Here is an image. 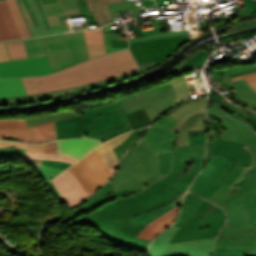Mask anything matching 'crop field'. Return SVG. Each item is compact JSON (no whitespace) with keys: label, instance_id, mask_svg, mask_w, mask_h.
Listing matches in <instances>:
<instances>
[{"label":"crop field","instance_id":"8a807250","mask_svg":"<svg viewBox=\"0 0 256 256\" xmlns=\"http://www.w3.org/2000/svg\"><path fill=\"white\" fill-rule=\"evenodd\" d=\"M160 173L165 176L143 187L144 190L124 199H116L112 203L87 215L80 216L65 224L72 227L76 223H84L94 227L97 234L128 238L150 243V240L135 238L146 226L132 224L128 218L153 210L163 204L169 205L183 191L169 184L183 161L181 146L173 148V152L158 154Z\"/></svg>","mask_w":256,"mask_h":256},{"label":"crop field","instance_id":"ac0d7876","mask_svg":"<svg viewBox=\"0 0 256 256\" xmlns=\"http://www.w3.org/2000/svg\"><path fill=\"white\" fill-rule=\"evenodd\" d=\"M131 65V66H129ZM139 68L127 49L69 67L55 74L22 78L27 94L46 93L120 76Z\"/></svg>","mask_w":256,"mask_h":256},{"label":"crop field","instance_id":"34b2d1b8","mask_svg":"<svg viewBox=\"0 0 256 256\" xmlns=\"http://www.w3.org/2000/svg\"><path fill=\"white\" fill-rule=\"evenodd\" d=\"M226 218L224 210L191 193L185 196L180 217L181 227L170 242L216 237Z\"/></svg>","mask_w":256,"mask_h":256},{"label":"crop field","instance_id":"412701ff","mask_svg":"<svg viewBox=\"0 0 256 256\" xmlns=\"http://www.w3.org/2000/svg\"><path fill=\"white\" fill-rule=\"evenodd\" d=\"M189 41L187 31L183 30L130 39V48L141 67L139 73H142L159 65L178 50L182 44Z\"/></svg>","mask_w":256,"mask_h":256},{"label":"crop field","instance_id":"f4fd0767","mask_svg":"<svg viewBox=\"0 0 256 256\" xmlns=\"http://www.w3.org/2000/svg\"><path fill=\"white\" fill-rule=\"evenodd\" d=\"M177 103L179 102H174V91L170 82L138 92L129 98L115 101L129 127L131 126L124 114L144 108L153 123L157 117Z\"/></svg>","mask_w":256,"mask_h":256},{"label":"crop field","instance_id":"dd49c442","mask_svg":"<svg viewBox=\"0 0 256 256\" xmlns=\"http://www.w3.org/2000/svg\"><path fill=\"white\" fill-rule=\"evenodd\" d=\"M43 38L53 72L88 60L81 31Z\"/></svg>","mask_w":256,"mask_h":256},{"label":"crop field","instance_id":"e52e79f7","mask_svg":"<svg viewBox=\"0 0 256 256\" xmlns=\"http://www.w3.org/2000/svg\"><path fill=\"white\" fill-rule=\"evenodd\" d=\"M244 196L245 191L224 184L208 200L226 209V226L242 232L256 233V228L246 223L249 214L244 208Z\"/></svg>","mask_w":256,"mask_h":256},{"label":"crop field","instance_id":"d8731c3e","mask_svg":"<svg viewBox=\"0 0 256 256\" xmlns=\"http://www.w3.org/2000/svg\"><path fill=\"white\" fill-rule=\"evenodd\" d=\"M206 101L207 99L185 102L167 114L178 120L171 129L179 132L176 136V147L189 145L188 132L206 130Z\"/></svg>","mask_w":256,"mask_h":256},{"label":"crop field","instance_id":"5a996713","mask_svg":"<svg viewBox=\"0 0 256 256\" xmlns=\"http://www.w3.org/2000/svg\"><path fill=\"white\" fill-rule=\"evenodd\" d=\"M0 140L44 143L55 140L54 121L27 128L25 119L0 120Z\"/></svg>","mask_w":256,"mask_h":256},{"label":"crop field","instance_id":"3316defc","mask_svg":"<svg viewBox=\"0 0 256 256\" xmlns=\"http://www.w3.org/2000/svg\"><path fill=\"white\" fill-rule=\"evenodd\" d=\"M178 229V227L172 226L157 236L149 248L151 256H160L164 254L185 251H188L189 256H211L212 244L215 238L198 239L168 244L170 238Z\"/></svg>","mask_w":256,"mask_h":256},{"label":"crop field","instance_id":"28ad6ade","mask_svg":"<svg viewBox=\"0 0 256 256\" xmlns=\"http://www.w3.org/2000/svg\"><path fill=\"white\" fill-rule=\"evenodd\" d=\"M163 176L159 173L143 180V166L139 159L128 150L110 182L116 192L129 188L134 194L142 190V186L148 185Z\"/></svg>","mask_w":256,"mask_h":256},{"label":"crop field","instance_id":"d1516ede","mask_svg":"<svg viewBox=\"0 0 256 256\" xmlns=\"http://www.w3.org/2000/svg\"><path fill=\"white\" fill-rule=\"evenodd\" d=\"M68 169L78 178L88 197L112 177L95 151Z\"/></svg>","mask_w":256,"mask_h":256},{"label":"crop field","instance_id":"22f410ed","mask_svg":"<svg viewBox=\"0 0 256 256\" xmlns=\"http://www.w3.org/2000/svg\"><path fill=\"white\" fill-rule=\"evenodd\" d=\"M207 110L219 119L221 126L226 132H223L219 139L235 140L240 143L247 144L245 147L253 156V161L249 169L256 167V134L246 125L226 117L222 114L220 109L215 105L210 106ZM248 169V170H249Z\"/></svg>","mask_w":256,"mask_h":256},{"label":"crop field","instance_id":"cbeb9de0","mask_svg":"<svg viewBox=\"0 0 256 256\" xmlns=\"http://www.w3.org/2000/svg\"><path fill=\"white\" fill-rule=\"evenodd\" d=\"M184 161L170 185L186 191L196 174L202 169L205 145L182 146Z\"/></svg>","mask_w":256,"mask_h":256},{"label":"crop field","instance_id":"5142ce71","mask_svg":"<svg viewBox=\"0 0 256 256\" xmlns=\"http://www.w3.org/2000/svg\"><path fill=\"white\" fill-rule=\"evenodd\" d=\"M50 28L63 27L60 18L91 14L86 0H39Z\"/></svg>","mask_w":256,"mask_h":256},{"label":"crop field","instance_id":"d9b57169","mask_svg":"<svg viewBox=\"0 0 256 256\" xmlns=\"http://www.w3.org/2000/svg\"><path fill=\"white\" fill-rule=\"evenodd\" d=\"M79 115H87L98 112L101 119L82 128L85 137H91L103 132L115 130L126 123L114 103L107 104L103 107H92L87 109L78 110Z\"/></svg>","mask_w":256,"mask_h":256},{"label":"crop field","instance_id":"733c2abd","mask_svg":"<svg viewBox=\"0 0 256 256\" xmlns=\"http://www.w3.org/2000/svg\"><path fill=\"white\" fill-rule=\"evenodd\" d=\"M47 56L43 38L0 43V62Z\"/></svg>","mask_w":256,"mask_h":256},{"label":"crop field","instance_id":"4a817a6b","mask_svg":"<svg viewBox=\"0 0 256 256\" xmlns=\"http://www.w3.org/2000/svg\"><path fill=\"white\" fill-rule=\"evenodd\" d=\"M177 120L166 116L152 125L149 132L143 138L155 153L172 151L175 147L177 133L169 132Z\"/></svg>","mask_w":256,"mask_h":256},{"label":"crop field","instance_id":"bc2a9ffb","mask_svg":"<svg viewBox=\"0 0 256 256\" xmlns=\"http://www.w3.org/2000/svg\"><path fill=\"white\" fill-rule=\"evenodd\" d=\"M47 57L0 63V78L51 73Z\"/></svg>","mask_w":256,"mask_h":256},{"label":"crop field","instance_id":"214f88e0","mask_svg":"<svg viewBox=\"0 0 256 256\" xmlns=\"http://www.w3.org/2000/svg\"><path fill=\"white\" fill-rule=\"evenodd\" d=\"M131 194L132 193L129 191V189L115 193L110 182H108L107 185H105L98 192L92 195L84 204H82L76 210L70 212L66 217H64L60 221L67 223L80 215L87 214L115 200L116 198H123Z\"/></svg>","mask_w":256,"mask_h":256},{"label":"crop field","instance_id":"92a150f3","mask_svg":"<svg viewBox=\"0 0 256 256\" xmlns=\"http://www.w3.org/2000/svg\"><path fill=\"white\" fill-rule=\"evenodd\" d=\"M51 181L62 195L69 210L88 198L79 181L68 170Z\"/></svg>","mask_w":256,"mask_h":256},{"label":"crop field","instance_id":"dafd665d","mask_svg":"<svg viewBox=\"0 0 256 256\" xmlns=\"http://www.w3.org/2000/svg\"><path fill=\"white\" fill-rule=\"evenodd\" d=\"M214 248H250L248 256H256V234L242 233L224 226Z\"/></svg>","mask_w":256,"mask_h":256},{"label":"crop field","instance_id":"00972430","mask_svg":"<svg viewBox=\"0 0 256 256\" xmlns=\"http://www.w3.org/2000/svg\"><path fill=\"white\" fill-rule=\"evenodd\" d=\"M218 138L208 137L207 140V144L216 145L213 154L226 157L230 163L242 160L240 165L250 166L252 156L248 150L243 148L246 145L234 141H222Z\"/></svg>","mask_w":256,"mask_h":256},{"label":"crop field","instance_id":"a9b5d70f","mask_svg":"<svg viewBox=\"0 0 256 256\" xmlns=\"http://www.w3.org/2000/svg\"><path fill=\"white\" fill-rule=\"evenodd\" d=\"M32 37L49 35L36 0H17Z\"/></svg>","mask_w":256,"mask_h":256},{"label":"crop field","instance_id":"4177f3b9","mask_svg":"<svg viewBox=\"0 0 256 256\" xmlns=\"http://www.w3.org/2000/svg\"><path fill=\"white\" fill-rule=\"evenodd\" d=\"M226 70H213V81L221 80L227 88L242 102L256 109V92L254 93L245 80L229 81Z\"/></svg>","mask_w":256,"mask_h":256},{"label":"crop field","instance_id":"730fd06b","mask_svg":"<svg viewBox=\"0 0 256 256\" xmlns=\"http://www.w3.org/2000/svg\"><path fill=\"white\" fill-rule=\"evenodd\" d=\"M98 118H100V116L96 113L56 121L58 139L84 137L81 128Z\"/></svg>","mask_w":256,"mask_h":256},{"label":"crop field","instance_id":"eef30255","mask_svg":"<svg viewBox=\"0 0 256 256\" xmlns=\"http://www.w3.org/2000/svg\"><path fill=\"white\" fill-rule=\"evenodd\" d=\"M228 165V161L224 159L212 179L198 175L189 191L207 199L223 185V183L217 180L222 176Z\"/></svg>","mask_w":256,"mask_h":256},{"label":"crop field","instance_id":"ae1a2a85","mask_svg":"<svg viewBox=\"0 0 256 256\" xmlns=\"http://www.w3.org/2000/svg\"><path fill=\"white\" fill-rule=\"evenodd\" d=\"M102 143V141L92 139L59 140L58 154L69 155L80 159Z\"/></svg>","mask_w":256,"mask_h":256},{"label":"crop field","instance_id":"d3111659","mask_svg":"<svg viewBox=\"0 0 256 256\" xmlns=\"http://www.w3.org/2000/svg\"><path fill=\"white\" fill-rule=\"evenodd\" d=\"M137 74H138V71L134 72L132 74L126 75L122 78L113 79V80L105 81V82H102V83H98V84H94V85H90V86H86V87H82V88H78V89L67 90V91H63V92H59V93H55V94H50V95H43V96H37V97H31V98H25V99H18V100L0 101V106L16 105V104H27V103L38 102V101H43V100L61 98V97L77 94V93H80V92H85L87 90L95 89V88H98V87H101V86H104V85H108V84H111L115 81L124 80L128 77L135 76Z\"/></svg>","mask_w":256,"mask_h":256},{"label":"crop field","instance_id":"750c4746","mask_svg":"<svg viewBox=\"0 0 256 256\" xmlns=\"http://www.w3.org/2000/svg\"><path fill=\"white\" fill-rule=\"evenodd\" d=\"M234 187L247 191L245 208L250 214V219L247 223L256 227V168L247 171L245 179Z\"/></svg>","mask_w":256,"mask_h":256},{"label":"crop field","instance_id":"bd1437ed","mask_svg":"<svg viewBox=\"0 0 256 256\" xmlns=\"http://www.w3.org/2000/svg\"><path fill=\"white\" fill-rule=\"evenodd\" d=\"M130 150L140 159L144 166V179L159 172L157 154L152 151L143 139Z\"/></svg>","mask_w":256,"mask_h":256},{"label":"crop field","instance_id":"1d83c4d3","mask_svg":"<svg viewBox=\"0 0 256 256\" xmlns=\"http://www.w3.org/2000/svg\"><path fill=\"white\" fill-rule=\"evenodd\" d=\"M179 207L180 204L163 216H161L160 218H158L157 220H155L154 222L150 223L137 235V237L153 240L156 235H158L160 232L164 231L166 228L173 224Z\"/></svg>","mask_w":256,"mask_h":256},{"label":"crop field","instance_id":"120bbe31","mask_svg":"<svg viewBox=\"0 0 256 256\" xmlns=\"http://www.w3.org/2000/svg\"><path fill=\"white\" fill-rule=\"evenodd\" d=\"M20 38L6 0H0V41Z\"/></svg>","mask_w":256,"mask_h":256},{"label":"crop field","instance_id":"d32e631a","mask_svg":"<svg viewBox=\"0 0 256 256\" xmlns=\"http://www.w3.org/2000/svg\"><path fill=\"white\" fill-rule=\"evenodd\" d=\"M130 133L131 132H128L118 136L115 139L106 142L96 150L112 175L114 174L115 169L119 163L112 149L124 141L130 135Z\"/></svg>","mask_w":256,"mask_h":256},{"label":"crop field","instance_id":"5866460e","mask_svg":"<svg viewBox=\"0 0 256 256\" xmlns=\"http://www.w3.org/2000/svg\"><path fill=\"white\" fill-rule=\"evenodd\" d=\"M89 59L106 54V46L102 29L92 31H82Z\"/></svg>","mask_w":256,"mask_h":256},{"label":"crop field","instance_id":"028f5c9d","mask_svg":"<svg viewBox=\"0 0 256 256\" xmlns=\"http://www.w3.org/2000/svg\"><path fill=\"white\" fill-rule=\"evenodd\" d=\"M126 0H87L91 13L94 14L97 27L103 26L110 21V11L107 3Z\"/></svg>","mask_w":256,"mask_h":256},{"label":"crop field","instance_id":"e1f06a70","mask_svg":"<svg viewBox=\"0 0 256 256\" xmlns=\"http://www.w3.org/2000/svg\"><path fill=\"white\" fill-rule=\"evenodd\" d=\"M25 95L27 94L21 78L0 80V99Z\"/></svg>","mask_w":256,"mask_h":256},{"label":"crop field","instance_id":"0bd39190","mask_svg":"<svg viewBox=\"0 0 256 256\" xmlns=\"http://www.w3.org/2000/svg\"><path fill=\"white\" fill-rule=\"evenodd\" d=\"M239 164L240 162L230 164L219 181L234 186L241 179H244L245 173L249 167H242L239 166Z\"/></svg>","mask_w":256,"mask_h":256},{"label":"crop field","instance_id":"b80d0937","mask_svg":"<svg viewBox=\"0 0 256 256\" xmlns=\"http://www.w3.org/2000/svg\"><path fill=\"white\" fill-rule=\"evenodd\" d=\"M96 237L107 239L113 246H118V247L132 249V250L141 251V252H147L148 245H149L148 243H143L139 241L114 238V237H108L103 235H97Z\"/></svg>","mask_w":256,"mask_h":256},{"label":"crop field","instance_id":"c035e120","mask_svg":"<svg viewBox=\"0 0 256 256\" xmlns=\"http://www.w3.org/2000/svg\"><path fill=\"white\" fill-rule=\"evenodd\" d=\"M75 116H79V115H77L73 111H62L54 114H46V115H40L37 117L28 118L26 119V123L28 127H31V126L40 125L46 122H50L53 120L64 119V118L75 117Z\"/></svg>","mask_w":256,"mask_h":256},{"label":"crop field","instance_id":"c21b1889","mask_svg":"<svg viewBox=\"0 0 256 256\" xmlns=\"http://www.w3.org/2000/svg\"><path fill=\"white\" fill-rule=\"evenodd\" d=\"M13 19L22 38L31 37L16 0H7Z\"/></svg>","mask_w":256,"mask_h":256},{"label":"crop field","instance_id":"03da06ac","mask_svg":"<svg viewBox=\"0 0 256 256\" xmlns=\"http://www.w3.org/2000/svg\"><path fill=\"white\" fill-rule=\"evenodd\" d=\"M147 128L132 132L131 135L124 142H122L120 145L113 149L119 160L126 150L134 146L139 141Z\"/></svg>","mask_w":256,"mask_h":256},{"label":"crop field","instance_id":"b54c1fbb","mask_svg":"<svg viewBox=\"0 0 256 256\" xmlns=\"http://www.w3.org/2000/svg\"><path fill=\"white\" fill-rule=\"evenodd\" d=\"M108 5H109L110 11H111V20H112V22H115L114 18H113V13L120 12V11L130 10V14H131L133 19L136 18V17H140V14L137 10V7H136V4H135L134 1L111 3V4H108Z\"/></svg>","mask_w":256,"mask_h":256},{"label":"crop field","instance_id":"5d738f31","mask_svg":"<svg viewBox=\"0 0 256 256\" xmlns=\"http://www.w3.org/2000/svg\"><path fill=\"white\" fill-rule=\"evenodd\" d=\"M126 117L132 126L131 130H135L146 125L152 124L143 109L126 114Z\"/></svg>","mask_w":256,"mask_h":256},{"label":"crop field","instance_id":"d23c7cc5","mask_svg":"<svg viewBox=\"0 0 256 256\" xmlns=\"http://www.w3.org/2000/svg\"><path fill=\"white\" fill-rule=\"evenodd\" d=\"M171 84L175 91V101L189 100L188 89L183 76L171 81Z\"/></svg>","mask_w":256,"mask_h":256},{"label":"crop field","instance_id":"425ffa30","mask_svg":"<svg viewBox=\"0 0 256 256\" xmlns=\"http://www.w3.org/2000/svg\"><path fill=\"white\" fill-rule=\"evenodd\" d=\"M25 158H38V159H51L58 160L66 163H75L78 159L63 156V155H54V154H35V153H26Z\"/></svg>","mask_w":256,"mask_h":256},{"label":"crop field","instance_id":"25e5ab78","mask_svg":"<svg viewBox=\"0 0 256 256\" xmlns=\"http://www.w3.org/2000/svg\"><path fill=\"white\" fill-rule=\"evenodd\" d=\"M26 152L57 154V141L49 144L27 145Z\"/></svg>","mask_w":256,"mask_h":256},{"label":"crop field","instance_id":"73cf0c24","mask_svg":"<svg viewBox=\"0 0 256 256\" xmlns=\"http://www.w3.org/2000/svg\"><path fill=\"white\" fill-rule=\"evenodd\" d=\"M222 159L223 158L219 156L211 155L206 167L201 171L200 175L211 178L212 175L217 171Z\"/></svg>","mask_w":256,"mask_h":256},{"label":"crop field","instance_id":"89e229c0","mask_svg":"<svg viewBox=\"0 0 256 256\" xmlns=\"http://www.w3.org/2000/svg\"><path fill=\"white\" fill-rule=\"evenodd\" d=\"M218 105L222 108H225L226 110L232 112L233 114H236L237 116H240L244 119H246L247 121H249L250 123L254 124L256 126V122H254L252 119H250L247 115L250 114L251 112L246 111L244 109L235 107L231 104H229L228 102H226L225 100L218 102Z\"/></svg>","mask_w":256,"mask_h":256},{"label":"crop field","instance_id":"1f2cbd36","mask_svg":"<svg viewBox=\"0 0 256 256\" xmlns=\"http://www.w3.org/2000/svg\"><path fill=\"white\" fill-rule=\"evenodd\" d=\"M228 77H235L242 74L250 73V72H256V65H247V66H234L230 68H226Z\"/></svg>","mask_w":256,"mask_h":256},{"label":"crop field","instance_id":"dbb93151","mask_svg":"<svg viewBox=\"0 0 256 256\" xmlns=\"http://www.w3.org/2000/svg\"><path fill=\"white\" fill-rule=\"evenodd\" d=\"M44 182L52 179L54 176L62 172V170L53 169L45 166H33Z\"/></svg>","mask_w":256,"mask_h":256},{"label":"crop field","instance_id":"0fb4a251","mask_svg":"<svg viewBox=\"0 0 256 256\" xmlns=\"http://www.w3.org/2000/svg\"><path fill=\"white\" fill-rule=\"evenodd\" d=\"M249 249H214L213 256H247Z\"/></svg>","mask_w":256,"mask_h":256},{"label":"crop field","instance_id":"1d79db26","mask_svg":"<svg viewBox=\"0 0 256 256\" xmlns=\"http://www.w3.org/2000/svg\"><path fill=\"white\" fill-rule=\"evenodd\" d=\"M25 150L0 148V157H24Z\"/></svg>","mask_w":256,"mask_h":256},{"label":"crop field","instance_id":"9d1cf04e","mask_svg":"<svg viewBox=\"0 0 256 256\" xmlns=\"http://www.w3.org/2000/svg\"><path fill=\"white\" fill-rule=\"evenodd\" d=\"M126 131H130V128L128 126L121 127L115 131H111V132H107V133H103V134L94 136L93 138L99 139V140H109L123 132H126Z\"/></svg>","mask_w":256,"mask_h":256},{"label":"crop field","instance_id":"447ae74e","mask_svg":"<svg viewBox=\"0 0 256 256\" xmlns=\"http://www.w3.org/2000/svg\"><path fill=\"white\" fill-rule=\"evenodd\" d=\"M244 78L250 86L256 91V73H250L243 76L232 78L231 81L239 80Z\"/></svg>","mask_w":256,"mask_h":256},{"label":"crop field","instance_id":"0765c3eb","mask_svg":"<svg viewBox=\"0 0 256 256\" xmlns=\"http://www.w3.org/2000/svg\"><path fill=\"white\" fill-rule=\"evenodd\" d=\"M42 165L54 167L62 170L70 166V164L61 163L57 161H50V160H42Z\"/></svg>","mask_w":256,"mask_h":256},{"label":"crop field","instance_id":"db79e9e6","mask_svg":"<svg viewBox=\"0 0 256 256\" xmlns=\"http://www.w3.org/2000/svg\"><path fill=\"white\" fill-rule=\"evenodd\" d=\"M27 144H19L10 141H0V147H14V148H22L25 149Z\"/></svg>","mask_w":256,"mask_h":256},{"label":"crop field","instance_id":"7b73153f","mask_svg":"<svg viewBox=\"0 0 256 256\" xmlns=\"http://www.w3.org/2000/svg\"><path fill=\"white\" fill-rule=\"evenodd\" d=\"M47 186L49 187V189L51 190V192L53 193V195L56 197V199L59 201V203H64L62 200L61 195L59 194V192L56 190L54 184L50 181L48 183H46Z\"/></svg>","mask_w":256,"mask_h":256},{"label":"crop field","instance_id":"78b8030e","mask_svg":"<svg viewBox=\"0 0 256 256\" xmlns=\"http://www.w3.org/2000/svg\"><path fill=\"white\" fill-rule=\"evenodd\" d=\"M244 2L247 6L246 9L250 14L256 13V0H244Z\"/></svg>","mask_w":256,"mask_h":256},{"label":"crop field","instance_id":"0f1d7ab4","mask_svg":"<svg viewBox=\"0 0 256 256\" xmlns=\"http://www.w3.org/2000/svg\"><path fill=\"white\" fill-rule=\"evenodd\" d=\"M104 35H105V40H106V46H107L108 53L113 52V51H117V50H120V49L127 48V47H110L108 33H104Z\"/></svg>","mask_w":256,"mask_h":256},{"label":"crop field","instance_id":"e1d0b9f6","mask_svg":"<svg viewBox=\"0 0 256 256\" xmlns=\"http://www.w3.org/2000/svg\"><path fill=\"white\" fill-rule=\"evenodd\" d=\"M205 141H206V136L189 138L190 144H200V143H205Z\"/></svg>","mask_w":256,"mask_h":256},{"label":"crop field","instance_id":"ae633e8c","mask_svg":"<svg viewBox=\"0 0 256 256\" xmlns=\"http://www.w3.org/2000/svg\"><path fill=\"white\" fill-rule=\"evenodd\" d=\"M209 100L217 103V101L223 100V97L221 95H217L213 90H211V96Z\"/></svg>","mask_w":256,"mask_h":256},{"label":"crop field","instance_id":"d14b1444","mask_svg":"<svg viewBox=\"0 0 256 256\" xmlns=\"http://www.w3.org/2000/svg\"><path fill=\"white\" fill-rule=\"evenodd\" d=\"M224 113H226V114H228V115H230V116H232V117H234V118H236V119L241 120L242 122L248 124L254 131H256V130H255V127H254L252 124L248 123L247 121H245V120H243V119H241V118H239V117H237V116L231 114V113L228 112V111H224Z\"/></svg>","mask_w":256,"mask_h":256},{"label":"crop field","instance_id":"c39391a2","mask_svg":"<svg viewBox=\"0 0 256 256\" xmlns=\"http://www.w3.org/2000/svg\"><path fill=\"white\" fill-rule=\"evenodd\" d=\"M203 135H206V131H203V132H191V133H189V137L203 136Z\"/></svg>","mask_w":256,"mask_h":256},{"label":"crop field","instance_id":"ade564c9","mask_svg":"<svg viewBox=\"0 0 256 256\" xmlns=\"http://www.w3.org/2000/svg\"><path fill=\"white\" fill-rule=\"evenodd\" d=\"M164 256H188V255H187V252H186V253L169 254V255H164Z\"/></svg>","mask_w":256,"mask_h":256},{"label":"crop field","instance_id":"c5b07064","mask_svg":"<svg viewBox=\"0 0 256 256\" xmlns=\"http://www.w3.org/2000/svg\"><path fill=\"white\" fill-rule=\"evenodd\" d=\"M102 29H103L104 32H111L109 24L102 27Z\"/></svg>","mask_w":256,"mask_h":256},{"label":"crop field","instance_id":"c3a83c6f","mask_svg":"<svg viewBox=\"0 0 256 256\" xmlns=\"http://www.w3.org/2000/svg\"><path fill=\"white\" fill-rule=\"evenodd\" d=\"M82 29H85L84 26L72 27V30L74 31L82 30Z\"/></svg>","mask_w":256,"mask_h":256},{"label":"crop field","instance_id":"fb207236","mask_svg":"<svg viewBox=\"0 0 256 256\" xmlns=\"http://www.w3.org/2000/svg\"><path fill=\"white\" fill-rule=\"evenodd\" d=\"M248 116L251 117L254 121H256V114L252 113V114H250Z\"/></svg>","mask_w":256,"mask_h":256}]
</instances>
